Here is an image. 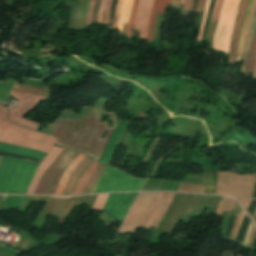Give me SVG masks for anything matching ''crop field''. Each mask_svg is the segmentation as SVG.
Segmentation results:
<instances>
[{"instance_id":"1","label":"crop field","mask_w":256,"mask_h":256,"mask_svg":"<svg viewBox=\"0 0 256 256\" xmlns=\"http://www.w3.org/2000/svg\"><path fill=\"white\" fill-rule=\"evenodd\" d=\"M8 109L0 105V142L14 144L48 153L58 139L34 132L7 121ZM100 118L88 115L82 119H59L52 135L59 138L57 145L83 152L98 162L111 133L107 123H98ZM64 148L40 179L35 193L52 194L60 175L79 154Z\"/></svg>"},{"instance_id":"2","label":"crop field","mask_w":256,"mask_h":256,"mask_svg":"<svg viewBox=\"0 0 256 256\" xmlns=\"http://www.w3.org/2000/svg\"><path fill=\"white\" fill-rule=\"evenodd\" d=\"M146 179H135L122 171L106 166L92 193L140 191Z\"/></svg>"},{"instance_id":"3","label":"crop field","mask_w":256,"mask_h":256,"mask_svg":"<svg viewBox=\"0 0 256 256\" xmlns=\"http://www.w3.org/2000/svg\"><path fill=\"white\" fill-rule=\"evenodd\" d=\"M256 174L238 175L218 172L217 188L214 194L250 198Z\"/></svg>"},{"instance_id":"4","label":"crop field","mask_w":256,"mask_h":256,"mask_svg":"<svg viewBox=\"0 0 256 256\" xmlns=\"http://www.w3.org/2000/svg\"><path fill=\"white\" fill-rule=\"evenodd\" d=\"M239 0H224L212 48L228 53L232 27Z\"/></svg>"},{"instance_id":"5","label":"crop field","mask_w":256,"mask_h":256,"mask_svg":"<svg viewBox=\"0 0 256 256\" xmlns=\"http://www.w3.org/2000/svg\"><path fill=\"white\" fill-rule=\"evenodd\" d=\"M10 95L17 98L19 100V103L17 108L11 109L8 115V119L15 123L37 130L39 124L30 120L22 119L20 117L26 114L32 108H34L38 104L37 101L43 100L44 97L13 90H11Z\"/></svg>"},{"instance_id":"6","label":"crop field","mask_w":256,"mask_h":256,"mask_svg":"<svg viewBox=\"0 0 256 256\" xmlns=\"http://www.w3.org/2000/svg\"><path fill=\"white\" fill-rule=\"evenodd\" d=\"M156 193L139 194L130 207L118 233L133 232L141 221L144 213L153 201Z\"/></svg>"},{"instance_id":"7","label":"crop field","mask_w":256,"mask_h":256,"mask_svg":"<svg viewBox=\"0 0 256 256\" xmlns=\"http://www.w3.org/2000/svg\"><path fill=\"white\" fill-rule=\"evenodd\" d=\"M174 193H157L155 199L143 217L140 227L151 229L156 227L157 223L163 217L167 207L169 206ZM155 229V228H154Z\"/></svg>"},{"instance_id":"8","label":"crop field","mask_w":256,"mask_h":256,"mask_svg":"<svg viewBox=\"0 0 256 256\" xmlns=\"http://www.w3.org/2000/svg\"><path fill=\"white\" fill-rule=\"evenodd\" d=\"M153 0H140L135 22L134 30H139V38L147 37L148 23L151 13Z\"/></svg>"},{"instance_id":"9","label":"crop field","mask_w":256,"mask_h":256,"mask_svg":"<svg viewBox=\"0 0 256 256\" xmlns=\"http://www.w3.org/2000/svg\"><path fill=\"white\" fill-rule=\"evenodd\" d=\"M247 4H248V0H241L232 39H231L230 54H229V59L227 64H235L237 47H238V42L241 34V29L243 25Z\"/></svg>"},{"instance_id":"10","label":"crop field","mask_w":256,"mask_h":256,"mask_svg":"<svg viewBox=\"0 0 256 256\" xmlns=\"http://www.w3.org/2000/svg\"><path fill=\"white\" fill-rule=\"evenodd\" d=\"M62 149V147L57 146H54L51 149V151L47 154V156L38 166L26 193L33 194L40 177L43 175L49 164L54 160V158L60 153Z\"/></svg>"},{"instance_id":"11","label":"crop field","mask_w":256,"mask_h":256,"mask_svg":"<svg viewBox=\"0 0 256 256\" xmlns=\"http://www.w3.org/2000/svg\"><path fill=\"white\" fill-rule=\"evenodd\" d=\"M91 162H92V159L88 156L84 159V161L77 167V169L73 172L72 176L69 178L62 195L70 194L74 184L79 179V177L83 174V172L87 169V167L90 165Z\"/></svg>"},{"instance_id":"12","label":"crop field","mask_w":256,"mask_h":256,"mask_svg":"<svg viewBox=\"0 0 256 256\" xmlns=\"http://www.w3.org/2000/svg\"><path fill=\"white\" fill-rule=\"evenodd\" d=\"M171 2H172V0H155L154 1V6H153V10H152L151 18H150V23H149L147 43L151 42L154 19H155L156 13H164L165 10H166L167 4H171Z\"/></svg>"},{"instance_id":"13","label":"crop field","mask_w":256,"mask_h":256,"mask_svg":"<svg viewBox=\"0 0 256 256\" xmlns=\"http://www.w3.org/2000/svg\"><path fill=\"white\" fill-rule=\"evenodd\" d=\"M86 157L84 154H80L70 165L69 167L65 170V172L62 175V178L58 184L57 190L55 194H61L69 175L76 169V167L83 161V159ZM71 176V175H70Z\"/></svg>"},{"instance_id":"14","label":"crop field","mask_w":256,"mask_h":256,"mask_svg":"<svg viewBox=\"0 0 256 256\" xmlns=\"http://www.w3.org/2000/svg\"><path fill=\"white\" fill-rule=\"evenodd\" d=\"M255 57H256V27H255L253 40H252V44H251V49H250V53H249V57H248V61H247V65H246L244 74H248V73L252 74Z\"/></svg>"},{"instance_id":"15","label":"crop field","mask_w":256,"mask_h":256,"mask_svg":"<svg viewBox=\"0 0 256 256\" xmlns=\"http://www.w3.org/2000/svg\"><path fill=\"white\" fill-rule=\"evenodd\" d=\"M105 168V165L99 164L89 181L86 183L84 189L82 190L81 194L90 193L93 189L95 183L97 182L98 178L102 174L103 170Z\"/></svg>"},{"instance_id":"16","label":"crop field","mask_w":256,"mask_h":256,"mask_svg":"<svg viewBox=\"0 0 256 256\" xmlns=\"http://www.w3.org/2000/svg\"><path fill=\"white\" fill-rule=\"evenodd\" d=\"M58 198H60L59 201H58ZM67 199L68 198H64V197H53L52 201L50 200L51 202H50L49 206L47 207L46 211L52 212L56 203H57V201H58V203H57V205H56V207H55V209L52 213L53 216L58 217L62 208H63V206H64V204L66 203Z\"/></svg>"},{"instance_id":"17","label":"crop field","mask_w":256,"mask_h":256,"mask_svg":"<svg viewBox=\"0 0 256 256\" xmlns=\"http://www.w3.org/2000/svg\"><path fill=\"white\" fill-rule=\"evenodd\" d=\"M206 186L201 184L180 182L178 190L181 192H195V193H203Z\"/></svg>"},{"instance_id":"18","label":"crop field","mask_w":256,"mask_h":256,"mask_svg":"<svg viewBox=\"0 0 256 256\" xmlns=\"http://www.w3.org/2000/svg\"><path fill=\"white\" fill-rule=\"evenodd\" d=\"M97 166H98V163L93 161V163L87 169V171L85 172V174L83 175L81 180L78 182V184H77V186H76L72 195L80 194V192L83 189L85 183L87 182V180L89 179V177L91 176V174L93 173V171L96 169Z\"/></svg>"},{"instance_id":"19","label":"crop field","mask_w":256,"mask_h":256,"mask_svg":"<svg viewBox=\"0 0 256 256\" xmlns=\"http://www.w3.org/2000/svg\"><path fill=\"white\" fill-rule=\"evenodd\" d=\"M235 201L231 198H225V197H222L219 205L217 206V209H216V215H222V212L223 210H228V211H231V209L233 208V206L235 205Z\"/></svg>"},{"instance_id":"20","label":"crop field","mask_w":256,"mask_h":256,"mask_svg":"<svg viewBox=\"0 0 256 256\" xmlns=\"http://www.w3.org/2000/svg\"><path fill=\"white\" fill-rule=\"evenodd\" d=\"M255 7H256V0H254L253 7H252V10H251V13H250V16H249V20H248V24H247V28H246V32H245V36H244L240 61H242L243 56H244V52H245V49H246L247 39H248L249 30H250L251 21H252V17H253Z\"/></svg>"},{"instance_id":"21","label":"crop field","mask_w":256,"mask_h":256,"mask_svg":"<svg viewBox=\"0 0 256 256\" xmlns=\"http://www.w3.org/2000/svg\"><path fill=\"white\" fill-rule=\"evenodd\" d=\"M252 3H253V0H249V4H248L246 16H245V20H244V25H243V29H242V34H241V38H240V43H239V48H238V53H237L236 62H238V61H239V58H240V52H241V46H242L244 31H245V27H246L247 19H248L250 10H251Z\"/></svg>"},{"instance_id":"22","label":"crop field","mask_w":256,"mask_h":256,"mask_svg":"<svg viewBox=\"0 0 256 256\" xmlns=\"http://www.w3.org/2000/svg\"><path fill=\"white\" fill-rule=\"evenodd\" d=\"M108 195L109 194L97 195V197L94 201V204L92 206V209L101 211L106 202Z\"/></svg>"},{"instance_id":"23","label":"crop field","mask_w":256,"mask_h":256,"mask_svg":"<svg viewBox=\"0 0 256 256\" xmlns=\"http://www.w3.org/2000/svg\"><path fill=\"white\" fill-rule=\"evenodd\" d=\"M255 22H256V11H255V14H254V17H253L252 26H251V31H250L249 40H248V45H247L245 57H244V60H243L242 73H243V71H244V67H245L247 55H248V52H249V48H250V44H251V40H252V35H253L254 27H255Z\"/></svg>"},{"instance_id":"24","label":"crop field","mask_w":256,"mask_h":256,"mask_svg":"<svg viewBox=\"0 0 256 256\" xmlns=\"http://www.w3.org/2000/svg\"><path fill=\"white\" fill-rule=\"evenodd\" d=\"M138 2H139V0H135L134 1V6H133L132 14H131L129 26H128V29H127V37H128V39H130V37H131V30H132V26H133L135 14H136Z\"/></svg>"},{"instance_id":"25","label":"crop field","mask_w":256,"mask_h":256,"mask_svg":"<svg viewBox=\"0 0 256 256\" xmlns=\"http://www.w3.org/2000/svg\"><path fill=\"white\" fill-rule=\"evenodd\" d=\"M243 215H244V213L241 210V212H240V214H239V216H238V218H237V220H236V222L234 224V227H233V231H232V235H231V239H230L233 242L235 241L236 234H237L238 228L240 226V223L242 221Z\"/></svg>"},{"instance_id":"26","label":"crop field","mask_w":256,"mask_h":256,"mask_svg":"<svg viewBox=\"0 0 256 256\" xmlns=\"http://www.w3.org/2000/svg\"><path fill=\"white\" fill-rule=\"evenodd\" d=\"M126 3H127V0H123L122 9H121L120 17H119V22H118V25H117V29H118L120 32H121V30H122V25H123V20H124V13H125Z\"/></svg>"},{"instance_id":"27","label":"crop field","mask_w":256,"mask_h":256,"mask_svg":"<svg viewBox=\"0 0 256 256\" xmlns=\"http://www.w3.org/2000/svg\"><path fill=\"white\" fill-rule=\"evenodd\" d=\"M89 4H90V0H86L83 11H82V14H81L79 30L84 28L85 17H86V13H87V9H88Z\"/></svg>"},{"instance_id":"28","label":"crop field","mask_w":256,"mask_h":256,"mask_svg":"<svg viewBox=\"0 0 256 256\" xmlns=\"http://www.w3.org/2000/svg\"><path fill=\"white\" fill-rule=\"evenodd\" d=\"M78 3H79V0L74 2V6H73V9H72V13H71V16H70L68 27L73 26V22H74V18H75V15H76Z\"/></svg>"},{"instance_id":"29","label":"crop field","mask_w":256,"mask_h":256,"mask_svg":"<svg viewBox=\"0 0 256 256\" xmlns=\"http://www.w3.org/2000/svg\"><path fill=\"white\" fill-rule=\"evenodd\" d=\"M84 1L85 0H80V3H79L77 15H76V19H75V23H74V27H73L76 30L78 28L79 18H80V14H81V11H82V8H83Z\"/></svg>"},{"instance_id":"30","label":"crop field","mask_w":256,"mask_h":256,"mask_svg":"<svg viewBox=\"0 0 256 256\" xmlns=\"http://www.w3.org/2000/svg\"><path fill=\"white\" fill-rule=\"evenodd\" d=\"M105 3H106V0H101L99 12H98L97 23H102V20H103V13H104V8H105Z\"/></svg>"},{"instance_id":"31","label":"crop field","mask_w":256,"mask_h":256,"mask_svg":"<svg viewBox=\"0 0 256 256\" xmlns=\"http://www.w3.org/2000/svg\"><path fill=\"white\" fill-rule=\"evenodd\" d=\"M95 1H96V0H92V1H91L90 7H89V10H88V13H87V17H86V26H88V25L91 24L92 9H93V7H94ZM86 26H85V27H86Z\"/></svg>"},{"instance_id":"32","label":"crop field","mask_w":256,"mask_h":256,"mask_svg":"<svg viewBox=\"0 0 256 256\" xmlns=\"http://www.w3.org/2000/svg\"><path fill=\"white\" fill-rule=\"evenodd\" d=\"M133 1H134V0H128V4H127V8H126V13H125V20H124V23H128V21H129V17H130V13H131Z\"/></svg>"},{"instance_id":"33","label":"crop field","mask_w":256,"mask_h":256,"mask_svg":"<svg viewBox=\"0 0 256 256\" xmlns=\"http://www.w3.org/2000/svg\"><path fill=\"white\" fill-rule=\"evenodd\" d=\"M110 6H111V0H107V5L104 13V22L103 23H108L109 20V13H110Z\"/></svg>"},{"instance_id":"34","label":"crop field","mask_w":256,"mask_h":256,"mask_svg":"<svg viewBox=\"0 0 256 256\" xmlns=\"http://www.w3.org/2000/svg\"><path fill=\"white\" fill-rule=\"evenodd\" d=\"M121 3H122V0H119V1H118V6H117V9H116V13H115L113 28H115L116 25H117L119 13H120V8H121Z\"/></svg>"},{"instance_id":"35","label":"crop field","mask_w":256,"mask_h":256,"mask_svg":"<svg viewBox=\"0 0 256 256\" xmlns=\"http://www.w3.org/2000/svg\"><path fill=\"white\" fill-rule=\"evenodd\" d=\"M205 4H206V0H198L196 12L204 11Z\"/></svg>"},{"instance_id":"36","label":"crop field","mask_w":256,"mask_h":256,"mask_svg":"<svg viewBox=\"0 0 256 256\" xmlns=\"http://www.w3.org/2000/svg\"><path fill=\"white\" fill-rule=\"evenodd\" d=\"M237 200L241 203V205L245 208V210H247L251 200L250 199H237Z\"/></svg>"},{"instance_id":"37","label":"crop field","mask_w":256,"mask_h":256,"mask_svg":"<svg viewBox=\"0 0 256 256\" xmlns=\"http://www.w3.org/2000/svg\"><path fill=\"white\" fill-rule=\"evenodd\" d=\"M99 3H100V0H97L96 6H95V9H94V12H93L92 24L96 23L97 10H98Z\"/></svg>"},{"instance_id":"38","label":"crop field","mask_w":256,"mask_h":256,"mask_svg":"<svg viewBox=\"0 0 256 256\" xmlns=\"http://www.w3.org/2000/svg\"><path fill=\"white\" fill-rule=\"evenodd\" d=\"M218 2H219V0H216L215 5H214V9H213V13H212V17H211V21H210V22H213L214 19H215L217 7H218Z\"/></svg>"},{"instance_id":"39","label":"crop field","mask_w":256,"mask_h":256,"mask_svg":"<svg viewBox=\"0 0 256 256\" xmlns=\"http://www.w3.org/2000/svg\"><path fill=\"white\" fill-rule=\"evenodd\" d=\"M209 1H210V0L207 1L206 9H205V12H204L203 21H202V27H203V23H204V20H205L206 13H207ZM202 27H201V29H200V34H201ZM200 34H199V37H200ZM198 41H199V38H198Z\"/></svg>"},{"instance_id":"40","label":"crop field","mask_w":256,"mask_h":256,"mask_svg":"<svg viewBox=\"0 0 256 256\" xmlns=\"http://www.w3.org/2000/svg\"><path fill=\"white\" fill-rule=\"evenodd\" d=\"M222 2H223V0H220L219 7H218V11H217V15H216V19H217V20H218L219 14H220Z\"/></svg>"},{"instance_id":"41","label":"crop field","mask_w":256,"mask_h":256,"mask_svg":"<svg viewBox=\"0 0 256 256\" xmlns=\"http://www.w3.org/2000/svg\"><path fill=\"white\" fill-rule=\"evenodd\" d=\"M180 0H173L172 5L179 9Z\"/></svg>"},{"instance_id":"42","label":"crop field","mask_w":256,"mask_h":256,"mask_svg":"<svg viewBox=\"0 0 256 256\" xmlns=\"http://www.w3.org/2000/svg\"><path fill=\"white\" fill-rule=\"evenodd\" d=\"M254 232H255V226H254V229H253V232H252V236H251V239H250V243H249V247H251V243H252V239H253V235H254Z\"/></svg>"},{"instance_id":"43","label":"crop field","mask_w":256,"mask_h":256,"mask_svg":"<svg viewBox=\"0 0 256 256\" xmlns=\"http://www.w3.org/2000/svg\"><path fill=\"white\" fill-rule=\"evenodd\" d=\"M253 78L256 79V63H255V68H254V72H253Z\"/></svg>"},{"instance_id":"44","label":"crop field","mask_w":256,"mask_h":256,"mask_svg":"<svg viewBox=\"0 0 256 256\" xmlns=\"http://www.w3.org/2000/svg\"><path fill=\"white\" fill-rule=\"evenodd\" d=\"M192 3H193V0H190V2H189V8H188V10H190V11H191V7H192Z\"/></svg>"},{"instance_id":"45","label":"crop field","mask_w":256,"mask_h":256,"mask_svg":"<svg viewBox=\"0 0 256 256\" xmlns=\"http://www.w3.org/2000/svg\"><path fill=\"white\" fill-rule=\"evenodd\" d=\"M188 1H189V0H186V3H185V7H184V10H185V11L187 10V7H188Z\"/></svg>"},{"instance_id":"46","label":"crop field","mask_w":256,"mask_h":256,"mask_svg":"<svg viewBox=\"0 0 256 256\" xmlns=\"http://www.w3.org/2000/svg\"><path fill=\"white\" fill-rule=\"evenodd\" d=\"M185 0H181V4H184Z\"/></svg>"},{"instance_id":"47","label":"crop field","mask_w":256,"mask_h":256,"mask_svg":"<svg viewBox=\"0 0 256 256\" xmlns=\"http://www.w3.org/2000/svg\"><path fill=\"white\" fill-rule=\"evenodd\" d=\"M255 217H256V212H255V214H254L253 218L255 219Z\"/></svg>"},{"instance_id":"48","label":"crop field","mask_w":256,"mask_h":256,"mask_svg":"<svg viewBox=\"0 0 256 256\" xmlns=\"http://www.w3.org/2000/svg\"><path fill=\"white\" fill-rule=\"evenodd\" d=\"M2 158H0V162H1Z\"/></svg>"}]
</instances>
